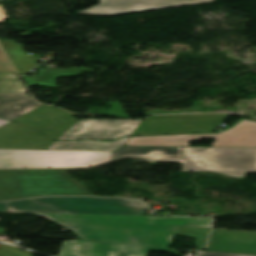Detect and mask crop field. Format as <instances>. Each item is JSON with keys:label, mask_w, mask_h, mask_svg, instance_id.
I'll return each instance as SVG.
<instances>
[{"label": "crop field", "mask_w": 256, "mask_h": 256, "mask_svg": "<svg viewBox=\"0 0 256 256\" xmlns=\"http://www.w3.org/2000/svg\"><path fill=\"white\" fill-rule=\"evenodd\" d=\"M146 203L124 199L120 207L73 204L57 197L0 203V212H32L87 240L166 247L179 226L211 228L212 218L140 216ZM168 247V246H167Z\"/></svg>", "instance_id": "8a807250"}, {"label": "crop field", "mask_w": 256, "mask_h": 256, "mask_svg": "<svg viewBox=\"0 0 256 256\" xmlns=\"http://www.w3.org/2000/svg\"><path fill=\"white\" fill-rule=\"evenodd\" d=\"M47 195L92 196L62 170H0V201Z\"/></svg>", "instance_id": "ac0d7876"}, {"label": "crop field", "mask_w": 256, "mask_h": 256, "mask_svg": "<svg viewBox=\"0 0 256 256\" xmlns=\"http://www.w3.org/2000/svg\"><path fill=\"white\" fill-rule=\"evenodd\" d=\"M182 171H215L232 177L256 172V149L185 150Z\"/></svg>", "instance_id": "34b2d1b8"}, {"label": "crop field", "mask_w": 256, "mask_h": 256, "mask_svg": "<svg viewBox=\"0 0 256 256\" xmlns=\"http://www.w3.org/2000/svg\"><path fill=\"white\" fill-rule=\"evenodd\" d=\"M111 152L0 149V168L89 167L110 161Z\"/></svg>", "instance_id": "412701ff"}, {"label": "crop field", "mask_w": 256, "mask_h": 256, "mask_svg": "<svg viewBox=\"0 0 256 256\" xmlns=\"http://www.w3.org/2000/svg\"><path fill=\"white\" fill-rule=\"evenodd\" d=\"M203 138H215L211 146L256 147V121L241 118L217 133L130 137L125 145L189 146Z\"/></svg>", "instance_id": "f4fd0767"}, {"label": "crop field", "mask_w": 256, "mask_h": 256, "mask_svg": "<svg viewBox=\"0 0 256 256\" xmlns=\"http://www.w3.org/2000/svg\"><path fill=\"white\" fill-rule=\"evenodd\" d=\"M227 114H183L149 116L132 135L215 131Z\"/></svg>", "instance_id": "dd49c442"}, {"label": "crop field", "mask_w": 256, "mask_h": 256, "mask_svg": "<svg viewBox=\"0 0 256 256\" xmlns=\"http://www.w3.org/2000/svg\"><path fill=\"white\" fill-rule=\"evenodd\" d=\"M141 120L80 119L58 140L115 139L131 135Z\"/></svg>", "instance_id": "e52e79f7"}, {"label": "crop field", "mask_w": 256, "mask_h": 256, "mask_svg": "<svg viewBox=\"0 0 256 256\" xmlns=\"http://www.w3.org/2000/svg\"><path fill=\"white\" fill-rule=\"evenodd\" d=\"M150 250L168 252L167 248L114 244L92 241H64L58 256H146Z\"/></svg>", "instance_id": "d8731c3e"}, {"label": "crop field", "mask_w": 256, "mask_h": 256, "mask_svg": "<svg viewBox=\"0 0 256 256\" xmlns=\"http://www.w3.org/2000/svg\"><path fill=\"white\" fill-rule=\"evenodd\" d=\"M214 0H100V4L77 14L112 16L191 4L209 3Z\"/></svg>", "instance_id": "5a996713"}, {"label": "crop field", "mask_w": 256, "mask_h": 256, "mask_svg": "<svg viewBox=\"0 0 256 256\" xmlns=\"http://www.w3.org/2000/svg\"><path fill=\"white\" fill-rule=\"evenodd\" d=\"M61 109L43 105L13 121L26 124L52 139L69 129L78 119Z\"/></svg>", "instance_id": "3316defc"}, {"label": "crop field", "mask_w": 256, "mask_h": 256, "mask_svg": "<svg viewBox=\"0 0 256 256\" xmlns=\"http://www.w3.org/2000/svg\"><path fill=\"white\" fill-rule=\"evenodd\" d=\"M53 142L13 121L0 127V148L46 150Z\"/></svg>", "instance_id": "28ad6ade"}, {"label": "crop field", "mask_w": 256, "mask_h": 256, "mask_svg": "<svg viewBox=\"0 0 256 256\" xmlns=\"http://www.w3.org/2000/svg\"><path fill=\"white\" fill-rule=\"evenodd\" d=\"M207 251L256 255V233L212 230Z\"/></svg>", "instance_id": "d1516ede"}, {"label": "crop field", "mask_w": 256, "mask_h": 256, "mask_svg": "<svg viewBox=\"0 0 256 256\" xmlns=\"http://www.w3.org/2000/svg\"><path fill=\"white\" fill-rule=\"evenodd\" d=\"M121 157H144L151 161H181L182 147L122 146L112 152L111 160Z\"/></svg>", "instance_id": "22f410ed"}, {"label": "crop field", "mask_w": 256, "mask_h": 256, "mask_svg": "<svg viewBox=\"0 0 256 256\" xmlns=\"http://www.w3.org/2000/svg\"><path fill=\"white\" fill-rule=\"evenodd\" d=\"M41 105L26 94L0 95V118L13 120Z\"/></svg>", "instance_id": "cbeb9de0"}, {"label": "crop field", "mask_w": 256, "mask_h": 256, "mask_svg": "<svg viewBox=\"0 0 256 256\" xmlns=\"http://www.w3.org/2000/svg\"><path fill=\"white\" fill-rule=\"evenodd\" d=\"M129 137L115 141H55L47 150L113 151L121 147Z\"/></svg>", "instance_id": "5142ce71"}, {"label": "crop field", "mask_w": 256, "mask_h": 256, "mask_svg": "<svg viewBox=\"0 0 256 256\" xmlns=\"http://www.w3.org/2000/svg\"><path fill=\"white\" fill-rule=\"evenodd\" d=\"M34 69L39 70L36 76L23 77L26 84L39 85V86L50 87L55 89H57L56 79L59 77H76L83 71H93L92 69H87L85 67L74 68L69 70L41 69V68H34Z\"/></svg>", "instance_id": "d9b57169"}, {"label": "crop field", "mask_w": 256, "mask_h": 256, "mask_svg": "<svg viewBox=\"0 0 256 256\" xmlns=\"http://www.w3.org/2000/svg\"><path fill=\"white\" fill-rule=\"evenodd\" d=\"M0 43L16 66L20 75L27 73L36 65L39 57L28 55L20 48V44H15L12 40H0Z\"/></svg>", "instance_id": "733c2abd"}, {"label": "crop field", "mask_w": 256, "mask_h": 256, "mask_svg": "<svg viewBox=\"0 0 256 256\" xmlns=\"http://www.w3.org/2000/svg\"><path fill=\"white\" fill-rule=\"evenodd\" d=\"M25 89L16 74L0 72V93H23Z\"/></svg>", "instance_id": "4a817a6b"}, {"label": "crop field", "mask_w": 256, "mask_h": 256, "mask_svg": "<svg viewBox=\"0 0 256 256\" xmlns=\"http://www.w3.org/2000/svg\"><path fill=\"white\" fill-rule=\"evenodd\" d=\"M210 229L179 227L176 234L187 235L196 238V245L199 248L205 247L206 238Z\"/></svg>", "instance_id": "bc2a9ffb"}, {"label": "crop field", "mask_w": 256, "mask_h": 256, "mask_svg": "<svg viewBox=\"0 0 256 256\" xmlns=\"http://www.w3.org/2000/svg\"><path fill=\"white\" fill-rule=\"evenodd\" d=\"M62 199L71 201L73 203H90V204H102V205H114L120 206L123 199H99V198H73V197H60Z\"/></svg>", "instance_id": "214f88e0"}, {"label": "crop field", "mask_w": 256, "mask_h": 256, "mask_svg": "<svg viewBox=\"0 0 256 256\" xmlns=\"http://www.w3.org/2000/svg\"><path fill=\"white\" fill-rule=\"evenodd\" d=\"M0 256H32V253L23 250H15L12 246L1 244Z\"/></svg>", "instance_id": "92a150f3"}, {"label": "crop field", "mask_w": 256, "mask_h": 256, "mask_svg": "<svg viewBox=\"0 0 256 256\" xmlns=\"http://www.w3.org/2000/svg\"><path fill=\"white\" fill-rule=\"evenodd\" d=\"M0 71L15 73L12 65L10 64V62L8 61V59L6 58V56L4 55L1 49H0Z\"/></svg>", "instance_id": "dafd665d"}, {"label": "crop field", "mask_w": 256, "mask_h": 256, "mask_svg": "<svg viewBox=\"0 0 256 256\" xmlns=\"http://www.w3.org/2000/svg\"><path fill=\"white\" fill-rule=\"evenodd\" d=\"M196 256H255V255H241V254H227V253H213L199 251Z\"/></svg>", "instance_id": "00972430"}, {"label": "crop field", "mask_w": 256, "mask_h": 256, "mask_svg": "<svg viewBox=\"0 0 256 256\" xmlns=\"http://www.w3.org/2000/svg\"><path fill=\"white\" fill-rule=\"evenodd\" d=\"M4 18H9V17L5 14V12L0 4V22H5Z\"/></svg>", "instance_id": "a9b5d70f"}, {"label": "crop field", "mask_w": 256, "mask_h": 256, "mask_svg": "<svg viewBox=\"0 0 256 256\" xmlns=\"http://www.w3.org/2000/svg\"><path fill=\"white\" fill-rule=\"evenodd\" d=\"M9 122L8 120L0 119V126L4 125L5 123Z\"/></svg>", "instance_id": "4177f3b9"}]
</instances>
